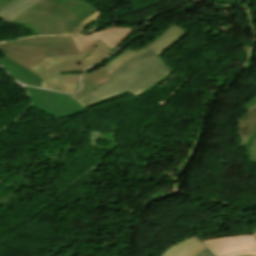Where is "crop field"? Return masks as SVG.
I'll use <instances>...</instances> for the list:
<instances>
[{"label":"crop field","instance_id":"12","mask_svg":"<svg viewBox=\"0 0 256 256\" xmlns=\"http://www.w3.org/2000/svg\"><path fill=\"white\" fill-rule=\"evenodd\" d=\"M0 61H2L3 63L7 64L8 66L13 68L14 70L18 71L19 73H21L22 75L27 77L36 86H38V87L40 86L41 79L38 76H36L35 74H33L31 71H29L28 69H26L23 66L17 64L16 62L12 61L11 59H9L7 57H4V58L0 59Z\"/></svg>","mask_w":256,"mask_h":256},{"label":"crop field","instance_id":"2","mask_svg":"<svg viewBox=\"0 0 256 256\" xmlns=\"http://www.w3.org/2000/svg\"><path fill=\"white\" fill-rule=\"evenodd\" d=\"M110 49L98 40L77 55L44 59L29 70L42 79L40 87L75 92L80 88L79 74L60 75V72L82 71L100 63L110 54Z\"/></svg>","mask_w":256,"mask_h":256},{"label":"crop field","instance_id":"25","mask_svg":"<svg viewBox=\"0 0 256 256\" xmlns=\"http://www.w3.org/2000/svg\"><path fill=\"white\" fill-rule=\"evenodd\" d=\"M253 230H254V232H256V226H255V227H253Z\"/></svg>","mask_w":256,"mask_h":256},{"label":"crop field","instance_id":"5","mask_svg":"<svg viewBox=\"0 0 256 256\" xmlns=\"http://www.w3.org/2000/svg\"><path fill=\"white\" fill-rule=\"evenodd\" d=\"M25 88L31 98L33 106L57 118L86 111L67 94L33 87Z\"/></svg>","mask_w":256,"mask_h":256},{"label":"crop field","instance_id":"28","mask_svg":"<svg viewBox=\"0 0 256 256\" xmlns=\"http://www.w3.org/2000/svg\"><path fill=\"white\" fill-rule=\"evenodd\" d=\"M1 18V17H0Z\"/></svg>","mask_w":256,"mask_h":256},{"label":"crop field","instance_id":"20","mask_svg":"<svg viewBox=\"0 0 256 256\" xmlns=\"http://www.w3.org/2000/svg\"><path fill=\"white\" fill-rule=\"evenodd\" d=\"M256 131V126L248 133L246 134L243 138H242V143L243 145L245 144V142L247 141V139Z\"/></svg>","mask_w":256,"mask_h":256},{"label":"crop field","instance_id":"16","mask_svg":"<svg viewBox=\"0 0 256 256\" xmlns=\"http://www.w3.org/2000/svg\"><path fill=\"white\" fill-rule=\"evenodd\" d=\"M95 12H97V9L95 8L94 10H92L91 12H89L88 14H86L85 16H83L82 18H80L79 20H77L76 22H74L73 24H71L70 26H68L67 28H65L64 30H62L61 32H59L58 34H63L66 31H68L69 29H71L72 27H74L75 25H77L78 23H80L81 21H83L84 19H86L87 17L91 16L92 14H94Z\"/></svg>","mask_w":256,"mask_h":256},{"label":"crop field","instance_id":"13","mask_svg":"<svg viewBox=\"0 0 256 256\" xmlns=\"http://www.w3.org/2000/svg\"><path fill=\"white\" fill-rule=\"evenodd\" d=\"M100 15L101 14L98 12L95 13L91 17L87 18L86 20H84L83 22H81L80 24H78L77 26H75L74 28L69 30L68 32H66L65 34H78L82 29H84L87 25H89L91 22H93Z\"/></svg>","mask_w":256,"mask_h":256},{"label":"crop field","instance_id":"23","mask_svg":"<svg viewBox=\"0 0 256 256\" xmlns=\"http://www.w3.org/2000/svg\"><path fill=\"white\" fill-rule=\"evenodd\" d=\"M11 0H0V10L6 6Z\"/></svg>","mask_w":256,"mask_h":256},{"label":"crop field","instance_id":"14","mask_svg":"<svg viewBox=\"0 0 256 256\" xmlns=\"http://www.w3.org/2000/svg\"><path fill=\"white\" fill-rule=\"evenodd\" d=\"M0 65L13 77L15 78L17 81L23 83V84H27V85H33L35 86L32 82H30L27 78H25L24 76H22L21 74H19L18 72L14 71L13 69H11L10 67H8L7 65L3 64L2 62H0Z\"/></svg>","mask_w":256,"mask_h":256},{"label":"crop field","instance_id":"26","mask_svg":"<svg viewBox=\"0 0 256 256\" xmlns=\"http://www.w3.org/2000/svg\"><path fill=\"white\" fill-rule=\"evenodd\" d=\"M246 256H255V255H246Z\"/></svg>","mask_w":256,"mask_h":256},{"label":"crop field","instance_id":"6","mask_svg":"<svg viewBox=\"0 0 256 256\" xmlns=\"http://www.w3.org/2000/svg\"><path fill=\"white\" fill-rule=\"evenodd\" d=\"M148 50L142 48L140 50L132 51V50H125L110 62H108L104 67L93 71L92 73L88 74L84 72L82 74V84L83 88L81 91L77 92L82 97L92 91L93 89L97 88L98 86L102 85L104 82L112 79L111 76L119 70L125 63H127L130 59L146 52Z\"/></svg>","mask_w":256,"mask_h":256},{"label":"crop field","instance_id":"11","mask_svg":"<svg viewBox=\"0 0 256 256\" xmlns=\"http://www.w3.org/2000/svg\"><path fill=\"white\" fill-rule=\"evenodd\" d=\"M256 125V106L251 108L242 120L238 122L241 137L249 132Z\"/></svg>","mask_w":256,"mask_h":256},{"label":"crop field","instance_id":"7","mask_svg":"<svg viewBox=\"0 0 256 256\" xmlns=\"http://www.w3.org/2000/svg\"><path fill=\"white\" fill-rule=\"evenodd\" d=\"M132 32L133 28L112 27L94 34L71 36V38L80 52L98 39L111 48H114L128 38Z\"/></svg>","mask_w":256,"mask_h":256},{"label":"crop field","instance_id":"8","mask_svg":"<svg viewBox=\"0 0 256 256\" xmlns=\"http://www.w3.org/2000/svg\"><path fill=\"white\" fill-rule=\"evenodd\" d=\"M217 255L243 249H255L253 236H236L203 241Z\"/></svg>","mask_w":256,"mask_h":256},{"label":"crop field","instance_id":"21","mask_svg":"<svg viewBox=\"0 0 256 256\" xmlns=\"http://www.w3.org/2000/svg\"><path fill=\"white\" fill-rule=\"evenodd\" d=\"M254 105H256V98L253 99L252 101H250L244 108V110H248L249 108L253 107Z\"/></svg>","mask_w":256,"mask_h":256},{"label":"crop field","instance_id":"22","mask_svg":"<svg viewBox=\"0 0 256 256\" xmlns=\"http://www.w3.org/2000/svg\"><path fill=\"white\" fill-rule=\"evenodd\" d=\"M256 137V132L248 139V141L245 144V148L246 150L248 149V146L250 145V143L252 142V140Z\"/></svg>","mask_w":256,"mask_h":256},{"label":"crop field","instance_id":"27","mask_svg":"<svg viewBox=\"0 0 256 256\" xmlns=\"http://www.w3.org/2000/svg\"><path fill=\"white\" fill-rule=\"evenodd\" d=\"M256 244V243H255Z\"/></svg>","mask_w":256,"mask_h":256},{"label":"crop field","instance_id":"1","mask_svg":"<svg viewBox=\"0 0 256 256\" xmlns=\"http://www.w3.org/2000/svg\"><path fill=\"white\" fill-rule=\"evenodd\" d=\"M186 30L173 24L152 41L145 48L150 51L130 60L112 77L113 79L83 98L77 93L68 94L82 106L115 95L125 90L134 97L140 96L150 88L167 79L174 71L160 56L186 34Z\"/></svg>","mask_w":256,"mask_h":256},{"label":"crop field","instance_id":"17","mask_svg":"<svg viewBox=\"0 0 256 256\" xmlns=\"http://www.w3.org/2000/svg\"><path fill=\"white\" fill-rule=\"evenodd\" d=\"M126 93H128V92H127V91H125V92L120 93V94H117V95H115V96H112V97H109V98L103 99V100H101V101H98V102H95V103H92V104H89V105H87V106H84V109H87V108H89V107H92V106H95V105L101 104V103H103V102H106V101L112 100V99H114V98H116V97H118V96H120V95L126 94Z\"/></svg>","mask_w":256,"mask_h":256},{"label":"crop field","instance_id":"9","mask_svg":"<svg viewBox=\"0 0 256 256\" xmlns=\"http://www.w3.org/2000/svg\"><path fill=\"white\" fill-rule=\"evenodd\" d=\"M204 248H206L204 244L192 237L171 246L161 256H194Z\"/></svg>","mask_w":256,"mask_h":256},{"label":"crop field","instance_id":"18","mask_svg":"<svg viewBox=\"0 0 256 256\" xmlns=\"http://www.w3.org/2000/svg\"><path fill=\"white\" fill-rule=\"evenodd\" d=\"M245 254H255V250H243V251L223 254L219 256H238V255H245Z\"/></svg>","mask_w":256,"mask_h":256},{"label":"crop field","instance_id":"3","mask_svg":"<svg viewBox=\"0 0 256 256\" xmlns=\"http://www.w3.org/2000/svg\"><path fill=\"white\" fill-rule=\"evenodd\" d=\"M94 6L79 0H44L29 8L11 23L23 25L37 34H56Z\"/></svg>","mask_w":256,"mask_h":256},{"label":"crop field","instance_id":"10","mask_svg":"<svg viewBox=\"0 0 256 256\" xmlns=\"http://www.w3.org/2000/svg\"><path fill=\"white\" fill-rule=\"evenodd\" d=\"M42 0H13L0 11V16L4 17V22H10L29 7Z\"/></svg>","mask_w":256,"mask_h":256},{"label":"crop field","instance_id":"24","mask_svg":"<svg viewBox=\"0 0 256 256\" xmlns=\"http://www.w3.org/2000/svg\"><path fill=\"white\" fill-rule=\"evenodd\" d=\"M254 239H255V242H256V233H254Z\"/></svg>","mask_w":256,"mask_h":256},{"label":"crop field","instance_id":"19","mask_svg":"<svg viewBox=\"0 0 256 256\" xmlns=\"http://www.w3.org/2000/svg\"><path fill=\"white\" fill-rule=\"evenodd\" d=\"M196 256H215V255L210 250H208L206 248L203 251H201L199 254H197Z\"/></svg>","mask_w":256,"mask_h":256},{"label":"crop field","instance_id":"4","mask_svg":"<svg viewBox=\"0 0 256 256\" xmlns=\"http://www.w3.org/2000/svg\"><path fill=\"white\" fill-rule=\"evenodd\" d=\"M0 50L28 69L44 58L78 53L70 36L25 38L2 43Z\"/></svg>","mask_w":256,"mask_h":256},{"label":"crop field","instance_id":"15","mask_svg":"<svg viewBox=\"0 0 256 256\" xmlns=\"http://www.w3.org/2000/svg\"><path fill=\"white\" fill-rule=\"evenodd\" d=\"M248 154L250 155V162L256 163V138L251 143L248 149Z\"/></svg>","mask_w":256,"mask_h":256}]
</instances>
